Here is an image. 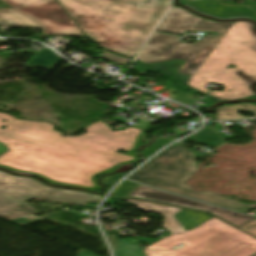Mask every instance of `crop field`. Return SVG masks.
Wrapping results in <instances>:
<instances>
[{"label": "crop field", "instance_id": "26", "mask_svg": "<svg viewBox=\"0 0 256 256\" xmlns=\"http://www.w3.org/2000/svg\"><path fill=\"white\" fill-rule=\"evenodd\" d=\"M182 4L190 3V2H195L199 0H180Z\"/></svg>", "mask_w": 256, "mask_h": 256}, {"label": "crop field", "instance_id": "1", "mask_svg": "<svg viewBox=\"0 0 256 256\" xmlns=\"http://www.w3.org/2000/svg\"><path fill=\"white\" fill-rule=\"evenodd\" d=\"M104 124L99 121L86 127L88 133L79 137H61L50 123L20 121L0 113V127L7 126L0 129V142L9 148L0 155V164L63 183L95 187L91 175L133 159L116 152L130 151L141 131L129 127L112 132Z\"/></svg>", "mask_w": 256, "mask_h": 256}, {"label": "crop field", "instance_id": "14", "mask_svg": "<svg viewBox=\"0 0 256 256\" xmlns=\"http://www.w3.org/2000/svg\"><path fill=\"white\" fill-rule=\"evenodd\" d=\"M175 217L181 222L186 229H191L194 226L204 222L205 220L213 217L206 213H199L191 210L184 209L179 212Z\"/></svg>", "mask_w": 256, "mask_h": 256}, {"label": "crop field", "instance_id": "19", "mask_svg": "<svg viewBox=\"0 0 256 256\" xmlns=\"http://www.w3.org/2000/svg\"><path fill=\"white\" fill-rule=\"evenodd\" d=\"M175 101H178L180 103H183V104H191L192 102H194L195 100L189 98V94L183 92V91H179L178 94L174 97Z\"/></svg>", "mask_w": 256, "mask_h": 256}, {"label": "crop field", "instance_id": "17", "mask_svg": "<svg viewBox=\"0 0 256 256\" xmlns=\"http://www.w3.org/2000/svg\"><path fill=\"white\" fill-rule=\"evenodd\" d=\"M138 186L139 184L137 183L125 180L118 186L112 195L115 197H126Z\"/></svg>", "mask_w": 256, "mask_h": 256}, {"label": "crop field", "instance_id": "13", "mask_svg": "<svg viewBox=\"0 0 256 256\" xmlns=\"http://www.w3.org/2000/svg\"><path fill=\"white\" fill-rule=\"evenodd\" d=\"M185 140H196L212 147H220L226 143L225 140L214 129L208 126H205L202 131L188 137Z\"/></svg>", "mask_w": 256, "mask_h": 256}, {"label": "crop field", "instance_id": "25", "mask_svg": "<svg viewBox=\"0 0 256 256\" xmlns=\"http://www.w3.org/2000/svg\"><path fill=\"white\" fill-rule=\"evenodd\" d=\"M6 150L7 148L4 146V144L0 143V154H2Z\"/></svg>", "mask_w": 256, "mask_h": 256}, {"label": "crop field", "instance_id": "16", "mask_svg": "<svg viewBox=\"0 0 256 256\" xmlns=\"http://www.w3.org/2000/svg\"><path fill=\"white\" fill-rule=\"evenodd\" d=\"M143 133H144V132L142 131L141 133L138 134L137 140H136V143H135L133 149H132L130 152H128V155L134 156V159H133V160L127 161V162H123V163H119V164L113 166L111 169H109V170H107V171L100 172V173L110 172V171H112L113 169H115V168H116L118 165H120V164H125V163H130V162H132V161H137L138 158H137L136 154L134 153V151H135V149L140 145L141 141H140L139 137H140V135L143 134ZM0 166H1V165H0ZM2 167H5V166H2ZM6 168L11 169V170H14V171H20V170L12 169V168H9V167H6ZM20 172H25V171H20ZM27 173H30V172H27ZM32 174H34V173H32ZM98 174H99V173H98ZM34 175L40 176V175H37V174H34ZM96 175H97V174H96ZM96 175L91 176V180H92V182H93V183L95 184V186H96L95 188L83 187V186H76V185H68V184H63V183H59V182L52 181V180L47 179V178L42 177V176H40V177L46 179L47 181H49V182L52 183V184L66 185V186H75V187H82V188L91 189V190H98V189H99V186H98V184L94 181V177H95Z\"/></svg>", "mask_w": 256, "mask_h": 256}, {"label": "crop field", "instance_id": "18", "mask_svg": "<svg viewBox=\"0 0 256 256\" xmlns=\"http://www.w3.org/2000/svg\"><path fill=\"white\" fill-rule=\"evenodd\" d=\"M170 141H171V140L162 138L158 143L149 146V147L146 148L145 151L143 152L144 158L150 156V155H151L152 153H154L157 149H159L161 146H163V145L169 143Z\"/></svg>", "mask_w": 256, "mask_h": 256}, {"label": "crop field", "instance_id": "22", "mask_svg": "<svg viewBox=\"0 0 256 256\" xmlns=\"http://www.w3.org/2000/svg\"><path fill=\"white\" fill-rule=\"evenodd\" d=\"M241 229H243L244 231L256 236V219L239 227Z\"/></svg>", "mask_w": 256, "mask_h": 256}, {"label": "crop field", "instance_id": "20", "mask_svg": "<svg viewBox=\"0 0 256 256\" xmlns=\"http://www.w3.org/2000/svg\"><path fill=\"white\" fill-rule=\"evenodd\" d=\"M133 66H134V67L131 68V69L136 70L137 73H139V74H145V73H147V72L155 73V72L158 71V70H155V69H153V68L147 67V66H145V65H143V64H141V63H139V62H137V61H135V63H134Z\"/></svg>", "mask_w": 256, "mask_h": 256}, {"label": "crop field", "instance_id": "27", "mask_svg": "<svg viewBox=\"0 0 256 256\" xmlns=\"http://www.w3.org/2000/svg\"><path fill=\"white\" fill-rule=\"evenodd\" d=\"M254 105H256V103Z\"/></svg>", "mask_w": 256, "mask_h": 256}, {"label": "crop field", "instance_id": "3", "mask_svg": "<svg viewBox=\"0 0 256 256\" xmlns=\"http://www.w3.org/2000/svg\"><path fill=\"white\" fill-rule=\"evenodd\" d=\"M233 23L205 20L172 6L157 30L179 34H183L186 29L220 33L217 36L205 35L206 37L195 44L177 42V36L154 33L137 60L165 71L185 83Z\"/></svg>", "mask_w": 256, "mask_h": 256}, {"label": "crop field", "instance_id": "2", "mask_svg": "<svg viewBox=\"0 0 256 256\" xmlns=\"http://www.w3.org/2000/svg\"><path fill=\"white\" fill-rule=\"evenodd\" d=\"M36 20L44 34L84 36L56 0H4ZM85 34L108 50L133 58L168 8L169 0H58ZM0 26L41 29L13 9Z\"/></svg>", "mask_w": 256, "mask_h": 256}, {"label": "crop field", "instance_id": "5", "mask_svg": "<svg viewBox=\"0 0 256 256\" xmlns=\"http://www.w3.org/2000/svg\"><path fill=\"white\" fill-rule=\"evenodd\" d=\"M176 251H145L147 256H251L256 253V239L233 226L212 218L197 228L165 238L147 249Z\"/></svg>", "mask_w": 256, "mask_h": 256}, {"label": "crop field", "instance_id": "9", "mask_svg": "<svg viewBox=\"0 0 256 256\" xmlns=\"http://www.w3.org/2000/svg\"><path fill=\"white\" fill-rule=\"evenodd\" d=\"M186 6L218 19L248 17L256 20V2L235 5L233 1L203 0Z\"/></svg>", "mask_w": 256, "mask_h": 256}, {"label": "crop field", "instance_id": "4", "mask_svg": "<svg viewBox=\"0 0 256 256\" xmlns=\"http://www.w3.org/2000/svg\"><path fill=\"white\" fill-rule=\"evenodd\" d=\"M230 64L238 68L226 69ZM253 81H256V31L250 23L235 22L185 84L208 94L203 87L207 82H215L226 88L212 91L210 96L229 101L255 96L248 87ZM228 89L231 91L227 92Z\"/></svg>", "mask_w": 256, "mask_h": 256}, {"label": "crop field", "instance_id": "12", "mask_svg": "<svg viewBox=\"0 0 256 256\" xmlns=\"http://www.w3.org/2000/svg\"><path fill=\"white\" fill-rule=\"evenodd\" d=\"M248 111L256 115V106L251 104L225 105L217 110V120H230L237 118H245L238 115L239 111Z\"/></svg>", "mask_w": 256, "mask_h": 256}, {"label": "crop field", "instance_id": "15", "mask_svg": "<svg viewBox=\"0 0 256 256\" xmlns=\"http://www.w3.org/2000/svg\"><path fill=\"white\" fill-rule=\"evenodd\" d=\"M58 61L54 53L45 50L28 62L26 66L31 68L39 66L50 70Z\"/></svg>", "mask_w": 256, "mask_h": 256}, {"label": "crop field", "instance_id": "24", "mask_svg": "<svg viewBox=\"0 0 256 256\" xmlns=\"http://www.w3.org/2000/svg\"><path fill=\"white\" fill-rule=\"evenodd\" d=\"M78 256H95V255H92V254H89L87 252H84V251H79V255Z\"/></svg>", "mask_w": 256, "mask_h": 256}, {"label": "crop field", "instance_id": "21", "mask_svg": "<svg viewBox=\"0 0 256 256\" xmlns=\"http://www.w3.org/2000/svg\"><path fill=\"white\" fill-rule=\"evenodd\" d=\"M125 174H116V175H110L108 177L103 178V181L107 187H111L113 184H115L120 178H122ZM102 181V182H103Z\"/></svg>", "mask_w": 256, "mask_h": 256}, {"label": "crop field", "instance_id": "7", "mask_svg": "<svg viewBox=\"0 0 256 256\" xmlns=\"http://www.w3.org/2000/svg\"><path fill=\"white\" fill-rule=\"evenodd\" d=\"M30 198L77 205L102 199L100 195L50 188L32 178L12 176L0 171V217L10 220L37 213L23 202Z\"/></svg>", "mask_w": 256, "mask_h": 256}, {"label": "crop field", "instance_id": "11", "mask_svg": "<svg viewBox=\"0 0 256 256\" xmlns=\"http://www.w3.org/2000/svg\"><path fill=\"white\" fill-rule=\"evenodd\" d=\"M116 256H145L137 240L118 239L117 235L107 234Z\"/></svg>", "mask_w": 256, "mask_h": 256}, {"label": "crop field", "instance_id": "8", "mask_svg": "<svg viewBox=\"0 0 256 256\" xmlns=\"http://www.w3.org/2000/svg\"><path fill=\"white\" fill-rule=\"evenodd\" d=\"M127 197L140 198L144 200L165 203V204L180 206V207L199 210V211H207L237 227L256 218V217H251V216L239 214L236 212H232L229 210L221 209L218 207H214L211 205L203 204L193 200L185 199L182 197H178V196L168 194L162 191H158L142 185L136 188Z\"/></svg>", "mask_w": 256, "mask_h": 256}, {"label": "crop field", "instance_id": "10", "mask_svg": "<svg viewBox=\"0 0 256 256\" xmlns=\"http://www.w3.org/2000/svg\"><path fill=\"white\" fill-rule=\"evenodd\" d=\"M125 201L134 203L137 207L141 208L146 212H157L163 214L164 229L169 230L172 235L186 231L185 228L180 224V222L173 216L179 211H181V208L160 205L134 199H128Z\"/></svg>", "mask_w": 256, "mask_h": 256}, {"label": "crop field", "instance_id": "28", "mask_svg": "<svg viewBox=\"0 0 256 256\" xmlns=\"http://www.w3.org/2000/svg\"><path fill=\"white\" fill-rule=\"evenodd\" d=\"M254 256H256V255H254Z\"/></svg>", "mask_w": 256, "mask_h": 256}, {"label": "crop field", "instance_id": "23", "mask_svg": "<svg viewBox=\"0 0 256 256\" xmlns=\"http://www.w3.org/2000/svg\"><path fill=\"white\" fill-rule=\"evenodd\" d=\"M201 101L205 102V104L203 105V107H208V106H210L211 104H213V103H215V102H218V100L213 99V98H209V97H207V98H205V99H203V100H201Z\"/></svg>", "mask_w": 256, "mask_h": 256}, {"label": "crop field", "instance_id": "6", "mask_svg": "<svg viewBox=\"0 0 256 256\" xmlns=\"http://www.w3.org/2000/svg\"><path fill=\"white\" fill-rule=\"evenodd\" d=\"M179 149L182 151L178 152ZM195 155L196 153L190 152V149L175 144L153 158L128 178L243 213L255 208L223 196L213 195L211 192H191L192 188L186 186L184 182L197 169L194 162Z\"/></svg>", "mask_w": 256, "mask_h": 256}]
</instances>
